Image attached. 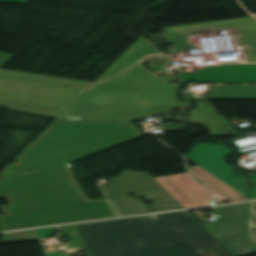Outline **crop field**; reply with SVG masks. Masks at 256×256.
<instances>
[{"mask_svg": "<svg viewBox=\"0 0 256 256\" xmlns=\"http://www.w3.org/2000/svg\"><path fill=\"white\" fill-rule=\"evenodd\" d=\"M208 99L256 100V86L211 85Z\"/></svg>", "mask_w": 256, "mask_h": 256, "instance_id": "obj_15", "label": "crop field"}, {"mask_svg": "<svg viewBox=\"0 0 256 256\" xmlns=\"http://www.w3.org/2000/svg\"><path fill=\"white\" fill-rule=\"evenodd\" d=\"M140 195L151 196L155 203L150 205L157 211L183 208L165 189L136 194V196Z\"/></svg>", "mask_w": 256, "mask_h": 256, "instance_id": "obj_18", "label": "crop field"}, {"mask_svg": "<svg viewBox=\"0 0 256 256\" xmlns=\"http://www.w3.org/2000/svg\"><path fill=\"white\" fill-rule=\"evenodd\" d=\"M189 170L194 177L219 201L228 199L230 202L243 201L246 198L242 197L228 186L208 174L198 166L190 167Z\"/></svg>", "mask_w": 256, "mask_h": 256, "instance_id": "obj_13", "label": "crop field"}, {"mask_svg": "<svg viewBox=\"0 0 256 256\" xmlns=\"http://www.w3.org/2000/svg\"><path fill=\"white\" fill-rule=\"evenodd\" d=\"M181 77L185 82L256 83V64L209 66Z\"/></svg>", "mask_w": 256, "mask_h": 256, "instance_id": "obj_10", "label": "crop field"}, {"mask_svg": "<svg viewBox=\"0 0 256 256\" xmlns=\"http://www.w3.org/2000/svg\"><path fill=\"white\" fill-rule=\"evenodd\" d=\"M254 203H256V202H254Z\"/></svg>", "mask_w": 256, "mask_h": 256, "instance_id": "obj_26", "label": "crop field"}, {"mask_svg": "<svg viewBox=\"0 0 256 256\" xmlns=\"http://www.w3.org/2000/svg\"><path fill=\"white\" fill-rule=\"evenodd\" d=\"M223 27L230 28L233 31V33L256 31L255 22L251 17H247V18L217 21V22L171 27V28H168V35L169 36L184 35L193 30L214 29V28H223Z\"/></svg>", "mask_w": 256, "mask_h": 256, "instance_id": "obj_12", "label": "crop field"}, {"mask_svg": "<svg viewBox=\"0 0 256 256\" xmlns=\"http://www.w3.org/2000/svg\"><path fill=\"white\" fill-rule=\"evenodd\" d=\"M0 2L26 4L27 0H0Z\"/></svg>", "mask_w": 256, "mask_h": 256, "instance_id": "obj_24", "label": "crop field"}, {"mask_svg": "<svg viewBox=\"0 0 256 256\" xmlns=\"http://www.w3.org/2000/svg\"><path fill=\"white\" fill-rule=\"evenodd\" d=\"M249 240L256 246V229H249Z\"/></svg>", "mask_w": 256, "mask_h": 256, "instance_id": "obj_22", "label": "crop field"}, {"mask_svg": "<svg viewBox=\"0 0 256 256\" xmlns=\"http://www.w3.org/2000/svg\"><path fill=\"white\" fill-rule=\"evenodd\" d=\"M249 228H256V204L249 203Z\"/></svg>", "mask_w": 256, "mask_h": 256, "instance_id": "obj_20", "label": "crop field"}, {"mask_svg": "<svg viewBox=\"0 0 256 256\" xmlns=\"http://www.w3.org/2000/svg\"><path fill=\"white\" fill-rule=\"evenodd\" d=\"M29 211L89 202L66 165L22 184Z\"/></svg>", "mask_w": 256, "mask_h": 256, "instance_id": "obj_4", "label": "crop field"}, {"mask_svg": "<svg viewBox=\"0 0 256 256\" xmlns=\"http://www.w3.org/2000/svg\"><path fill=\"white\" fill-rule=\"evenodd\" d=\"M155 55L140 37L15 159L21 182L144 134L122 111L189 104L176 98L181 85L143 67Z\"/></svg>", "mask_w": 256, "mask_h": 256, "instance_id": "obj_1", "label": "crop field"}, {"mask_svg": "<svg viewBox=\"0 0 256 256\" xmlns=\"http://www.w3.org/2000/svg\"><path fill=\"white\" fill-rule=\"evenodd\" d=\"M189 243L195 256H234L218 240Z\"/></svg>", "mask_w": 256, "mask_h": 256, "instance_id": "obj_17", "label": "crop field"}, {"mask_svg": "<svg viewBox=\"0 0 256 256\" xmlns=\"http://www.w3.org/2000/svg\"><path fill=\"white\" fill-rule=\"evenodd\" d=\"M165 132L172 131V130H178V129H184L186 126L183 125H169V126H163L161 127Z\"/></svg>", "mask_w": 256, "mask_h": 256, "instance_id": "obj_21", "label": "crop field"}, {"mask_svg": "<svg viewBox=\"0 0 256 256\" xmlns=\"http://www.w3.org/2000/svg\"><path fill=\"white\" fill-rule=\"evenodd\" d=\"M250 178L255 184V189L249 193V196L251 199H255L256 198V174L250 175Z\"/></svg>", "mask_w": 256, "mask_h": 256, "instance_id": "obj_23", "label": "crop field"}, {"mask_svg": "<svg viewBox=\"0 0 256 256\" xmlns=\"http://www.w3.org/2000/svg\"><path fill=\"white\" fill-rule=\"evenodd\" d=\"M108 183L109 184H113L114 183V179H110Z\"/></svg>", "mask_w": 256, "mask_h": 256, "instance_id": "obj_25", "label": "crop field"}, {"mask_svg": "<svg viewBox=\"0 0 256 256\" xmlns=\"http://www.w3.org/2000/svg\"><path fill=\"white\" fill-rule=\"evenodd\" d=\"M189 106L190 105L178 106V107H189ZM172 108H176V107L129 111V112H123L122 115L127 121H137V120H140L142 116L165 113Z\"/></svg>", "mask_w": 256, "mask_h": 256, "instance_id": "obj_19", "label": "crop field"}, {"mask_svg": "<svg viewBox=\"0 0 256 256\" xmlns=\"http://www.w3.org/2000/svg\"><path fill=\"white\" fill-rule=\"evenodd\" d=\"M184 208L213 205L188 173L155 178Z\"/></svg>", "mask_w": 256, "mask_h": 256, "instance_id": "obj_9", "label": "crop field"}, {"mask_svg": "<svg viewBox=\"0 0 256 256\" xmlns=\"http://www.w3.org/2000/svg\"><path fill=\"white\" fill-rule=\"evenodd\" d=\"M220 30H230V29L223 28ZM233 35L236 37L241 51L247 53L248 62H256V32L238 33ZM170 39L172 40L173 44H175V46L172 49H170L169 54H176L185 49L186 47L185 35L170 37Z\"/></svg>", "mask_w": 256, "mask_h": 256, "instance_id": "obj_14", "label": "crop field"}, {"mask_svg": "<svg viewBox=\"0 0 256 256\" xmlns=\"http://www.w3.org/2000/svg\"><path fill=\"white\" fill-rule=\"evenodd\" d=\"M121 216L152 212L142 201L130 195L109 198Z\"/></svg>", "mask_w": 256, "mask_h": 256, "instance_id": "obj_16", "label": "crop field"}, {"mask_svg": "<svg viewBox=\"0 0 256 256\" xmlns=\"http://www.w3.org/2000/svg\"><path fill=\"white\" fill-rule=\"evenodd\" d=\"M102 188L108 197L163 189L148 173L142 172H123L115 178V184Z\"/></svg>", "mask_w": 256, "mask_h": 256, "instance_id": "obj_11", "label": "crop field"}, {"mask_svg": "<svg viewBox=\"0 0 256 256\" xmlns=\"http://www.w3.org/2000/svg\"><path fill=\"white\" fill-rule=\"evenodd\" d=\"M220 218L206 225L212 233L235 256L256 253L246 240L247 203L214 208Z\"/></svg>", "mask_w": 256, "mask_h": 256, "instance_id": "obj_5", "label": "crop field"}, {"mask_svg": "<svg viewBox=\"0 0 256 256\" xmlns=\"http://www.w3.org/2000/svg\"><path fill=\"white\" fill-rule=\"evenodd\" d=\"M76 227L91 256H194L188 241L216 239L188 211Z\"/></svg>", "mask_w": 256, "mask_h": 256, "instance_id": "obj_2", "label": "crop field"}, {"mask_svg": "<svg viewBox=\"0 0 256 256\" xmlns=\"http://www.w3.org/2000/svg\"><path fill=\"white\" fill-rule=\"evenodd\" d=\"M92 83L0 70V104L57 118Z\"/></svg>", "mask_w": 256, "mask_h": 256, "instance_id": "obj_3", "label": "crop field"}, {"mask_svg": "<svg viewBox=\"0 0 256 256\" xmlns=\"http://www.w3.org/2000/svg\"><path fill=\"white\" fill-rule=\"evenodd\" d=\"M30 214L35 227L118 216L106 199Z\"/></svg>", "mask_w": 256, "mask_h": 256, "instance_id": "obj_7", "label": "crop field"}, {"mask_svg": "<svg viewBox=\"0 0 256 256\" xmlns=\"http://www.w3.org/2000/svg\"><path fill=\"white\" fill-rule=\"evenodd\" d=\"M230 153H232V150L222 145L197 144L191 149L186 158L245 197L243 177L233 176L231 172L233 167L223 161L224 157Z\"/></svg>", "mask_w": 256, "mask_h": 256, "instance_id": "obj_8", "label": "crop field"}, {"mask_svg": "<svg viewBox=\"0 0 256 256\" xmlns=\"http://www.w3.org/2000/svg\"><path fill=\"white\" fill-rule=\"evenodd\" d=\"M0 197H7L10 205L0 206L6 214L0 215L3 230L34 227L15 164H8L1 172Z\"/></svg>", "mask_w": 256, "mask_h": 256, "instance_id": "obj_6", "label": "crop field"}]
</instances>
